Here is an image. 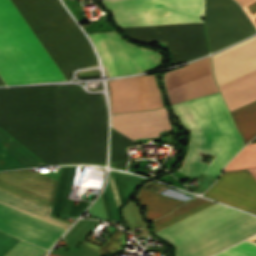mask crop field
Segmentation results:
<instances>
[{
	"label": "crop field",
	"instance_id": "obj_1",
	"mask_svg": "<svg viewBox=\"0 0 256 256\" xmlns=\"http://www.w3.org/2000/svg\"><path fill=\"white\" fill-rule=\"evenodd\" d=\"M58 164L105 165L102 95L54 85ZM0 127L47 165L57 164L53 85L0 88Z\"/></svg>",
	"mask_w": 256,
	"mask_h": 256
},
{
	"label": "crop field",
	"instance_id": "obj_2",
	"mask_svg": "<svg viewBox=\"0 0 256 256\" xmlns=\"http://www.w3.org/2000/svg\"><path fill=\"white\" fill-rule=\"evenodd\" d=\"M68 78L97 65L84 34L59 0H10ZM9 0H0V77L7 85L69 80Z\"/></svg>",
	"mask_w": 256,
	"mask_h": 256
},
{
	"label": "crop field",
	"instance_id": "obj_3",
	"mask_svg": "<svg viewBox=\"0 0 256 256\" xmlns=\"http://www.w3.org/2000/svg\"><path fill=\"white\" fill-rule=\"evenodd\" d=\"M120 27L203 23L204 0H102ZM135 41H160L172 64L208 54L203 24L121 28Z\"/></svg>",
	"mask_w": 256,
	"mask_h": 256
},
{
	"label": "crop field",
	"instance_id": "obj_4",
	"mask_svg": "<svg viewBox=\"0 0 256 256\" xmlns=\"http://www.w3.org/2000/svg\"><path fill=\"white\" fill-rule=\"evenodd\" d=\"M58 181L29 169L0 172V202L65 227L67 221L50 217V211ZM0 203V231L49 249L66 228L44 221ZM48 209V213H47ZM46 213L48 215H46Z\"/></svg>",
	"mask_w": 256,
	"mask_h": 256
},
{
	"label": "crop field",
	"instance_id": "obj_5",
	"mask_svg": "<svg viewBox=\"0 0 256 256\" xmlns=\"http://www.w3.org/2000/svg\"><path fill=\"white\" fill-rule=\"evenodd\" d=\"M172 107L191 133L189 150L179 171L193 178L202 172L217 177L243 145L220 93ZM204 154L218 155L208 165L200 162Z\"/></svg>",
	"mask_w": 256,
	"mask_h": 256
},
{
	"label": "crop field",
	"instance_id": "obj_6",
	"mask_svg": "<svg viewBox=\"0 0 256 256\" xmlns=\"http://www.w3.org/2000/svg\"><path fill=\"white\" fill-rule=\"evenodd\" d=\"M256 233V217L213 204L155 234L174 244L177 256H209Z\"/></svg>",
	"mask_w": 256,
	"mask_h": 256
},
{
	"label": "crop field",
	"instance_id": "obj_7",
	"mask_svg": "<svg viewBox=\"0 0 256 256\" xmlns=\"http://www.w3.org/2000/svg\"><path fill=\"white\" fill-rule=\"evenodd\" d=\"M96 46L108 76L140 73L159 66L161 54L123 41L117 32L88 34Z\"/></svg>",
	"mask_w": 256,
	"mask_h": 256
},
{
	"label": "crop field",
	"instance_id": "obj_8",
	"mask_svg": "<svg viewBox=\"0 0 256 256\" xmlns=\"http://www.w3.org/2000/svg\"><path fill=\"white\" fill-rule=\"evenodd\" d=\"M204 23L210 52L256 32L253 24L233 0H206Z\"/></svg>",
	"mask_w": 256,
	"mask_h": 256
},
{
	"label": "crop field",
	"instance_id": "obj_9",
	"mask_svg": "<svg viewBox=\"0 0 256 256\" xmlns=\"http://www.w3.org/2000/svg\"><path fill=\"white\" fill-rule=\"evenodd\" d=\"M229 111L256 100V70L219 86ZM234 123L247 143L256 135V101L231 111Z\"/></svg>",
	"mask_w": 256,
	"mask_h": 256
},
{
	"label": "crop field",
	"instance_id": "obj_10",
	"mask_svg": "<svg viewBox=\"0 0 256 256\" xmlns=\"http://www.w3.org/2000/svg\"><path fill=\"white\" fill-rule=\"evenodd\" d=\"M111 114L163 107L154 75L109 81Z\"/></svg>",
	"mask_w": 256,
	"mask_h": 256
},
{
	"label": "crop field",
	"instance_id": "obj_11",
	"mask_svg": "<svg viewBox=\"0 0 256 256\" xmlns=\"http://www.w3.org/2000/svg\"><path fill=\"white\" fill-rule=\"evenodd\" d=\"M164 83L171 104L219 92L209 57L164 73Z\"/></svg>",
	"mask_w": 256,
	"mask_h": 256
},
{
	"label": "crop field",
	"instance_id": "obj_12",
	"mask_svg": "<svg viewBox=\"0 0 256 256\" xmlns=\"http://www.w3.org/2000/svg\"><path fill=\"white\" fill-rule=\"evenodd\" d=\"M205 196L256 214V179L250 173H222Z\"/></svg>",
	"mask_w": 256,
	"mask_h": 256
},
{
	"label": "crop field",
	"instance_id": "obj_13",
	"mask_svg": "<svg viewBox=\"0 0 256 256\" xmlns=\"http://www.w3.org/2000/svg\"><path fill=\"white\" fill-rule=\"evenodd\" d=\"M217 85L256 69V36L211 57ZM226 84V83H225Z\"/></svg>",
	"mask_w": 256,
	"mask_h": 256
},
{
	"label": "crop field",
	"instance_id": "obj_14",
	"mask_svg": "<svg viewBox=\"0 0 256 256\" xmlns=\"http://www.w3.org/2000/svg\"><path fill=\"white\" fill-rule=\"evenodd\" d=\"M112 125L133 140L156 137L159 132L172 129L165 107L155 111L112 115Z\"/></svg>",
	"mask_w": 256,
	"mask_h": 256
},
{
	"label": "crop field",
	"instance_id": "obj_15",
	"mask_svg": "<svg viewBox=\"0 0 256 256\" xmlns=\"http://www.w3.org/2000/svg\"><path fill=\"white\" fill-rule=\"evenodd\" d=\"M45 165L0 129V170Z\"/></svg>",
	"mask_w": 256,
	"mask_h": 256
},
{
	"label": "crop field",
	"instance_id": "obj_16",
	"mask_svg": "<svg viewBox=\"0 0 256 256\" xmlns=\"http://www.w3.org/2000/svg\"><path fill=\"white\" fill-rule=\"evenodd\" d=\"M75 169L76 167H62L51 213L77 216L80 212L82 202H80L79 206H75L71 205V199L66 198L72 187ZM86 205L87 203L83 202L82 209Z\"/></svg>",
	"mask_w": 256,
	"mask_h": 256
},
{
	"label": "crop field",
	"instance_id": "obj_17",
	"mask_svg": "<svg viewBox=\"0 0 256 256\" xmlns=\"http://www.w3.org/2000/svg\"><path fill=\"white\" fill-rule=\"evenodd\" d=\"M116 173L117 179H115L120 203H122L133 191L139 186L145 179L137 178L124 173ZM106 213L108 219H119L117 215V208L114 201V197L111 191L109 180L107 186L102 194Z\"/></svg>",
	"mask_w": 256,
	"mask_h": 256
},
{
	"label": "crop field",
	"instance_id": "obj_18",
	"mask_svg": "<svg viewBox=\"0 0 256 256\" xmlns=\"http://www.w3.org/2000/svg\"><path fill=\"white\" fill-rule=\"evenodd\" d=\"M138 199L146 207V218L150 221L171 212L183 203L143 189H141Z\"/></svg>",
	"mask_w": 256,
	"mask_h": 256
},
{
	"label": "crop field",
	"instance_id": "obj_19",
	"mask_svg": "<svg viewBox=\"0 0 256 256\" xmlns=\"http://www.w3.org/2000/svg\"><path fill=\"white\" fill-rule=\"evenodd\" d=\"M20 239L0 232V256H4ZM46 250L21 240L5 256H41Z\"/></svg>",
	"mask_w": 256,
	"mask_h": 256
},
{
	"label": "crop field",
	"instance_id": "obj_20",
	"mask_svg": "<svg viewBox=\"0 0 256 256\" xmlns=\"http://www.w3.org/2000/svg\"><path fill=\"white\" fill-rule=\"evenodd\" d=\"M214 202L196 197L193 198L192 200L186 202L185 204L181 205L180 207H178L176 210H174L172 213L163 216L157 220H155L153 223V225L155 226V228L158 230L212 204Z\"/></svg>",
	"mask_w": 256,
	"mask_h": 256
},
{
	"label": "crop field",
	"instance_id": "obj_21",
	"mask_svg": "<svg viewBox=\"0 0 256 256\" xmlns=\"http://www.w3.org/2000/svg\"><path fill=\"white\" fill-rule=\"evenodd\" d=\"M111 157L110 165L125 169L128 161L126 147L135 146L133 141L111 128Z\"/></svg>",
	"mask_w": 256,
	"mask_h": 256
},
{
	"label": "crop field",
	"instance_id": "obj_22",
	"mask_svg": "<svg viewBox=\"0 0 256 256\" xmlns=\"http://www.w3.org/2000/svg\"><path fill=\"white\" fill-rule=\"evenodd\" d=\"M251 143H256L254 139ZM256 167V144L247 145L223 171Z\"/></svg>",
	"mask_w": 256,
	"mask_h": 256
},
{
	"label": "crop field",
	"instance_id": "obj_23",
	"mask_svg": "<svg viewBox=\"0 0 256 256\" xmlns=\"http://www.w3.org/2000/svg\"><path fill=\"white\" fill-rule=\"evenodd\" d=\"M124 237L125 232H121L119 229H117L101 247L85 240H83L82 243L104 255L122 249L124 244Z\"/></svg>",
	"mask_w": 256,
	"mask_h": 256
},
{
	"label": "crop field",
	"instance_id": "obj_24",
	"mask_svg": "<svg viewBox=\"0 0 256 256\" xmlns=\"http://www.w3.org/2000/svg\"><path fill=\"white\" fill-rule=\"evenodd\" d=\"M215 256H256V243L245 240Z\"/></svg>",
	"mask_w": 256,
	"mask_h": 256
},
{
	"label": "crop field",
	"instance_id": "obj_25",
	"mask_svg": "<svg viewBox=\"0 0 256 256\" xmlns=\"http://www.w3.org/2000/svg\"><path fill=\"white\" fill-rule=\"evenodd\" d=\"M236 1H238L242 6L252 0H236ZM242 8L245 10V12L248 14V16L251 18V20L256 26V0L242 6Z\"/></svg>",
	"mask_w": 256,
	"mask_h": 256
},
{
	"label": "crop field",
	"instance_id": "obj_26",
	"mask_svg": "<svg viewBox=\"0 0 256 256\" xmlns=\"http://www.w3.org/2000/svg\"><path fill=\"white\" fill-rule=\"evenodd\" d=\"M0 85H5L4 82L0 78Z\"/></svg>",
	"mask_w": 256,
	"mask_h": 256
},
{
	"label": "crop field",
	"instance_id": "obj_27",
	"mask_svg": "<svg viewBox=\"0 0 256 256\" xmlns=\"http://www.w3.org/2000/svg\"><path fill=\"white\" fill-rule=\"evenodd\" d=\"M48 256H56V255L48 254Z\"/></svg>",
	"mask_w": 256,
	"mask_h": 256
}]
</instances>
